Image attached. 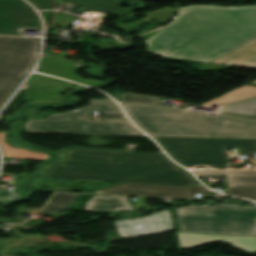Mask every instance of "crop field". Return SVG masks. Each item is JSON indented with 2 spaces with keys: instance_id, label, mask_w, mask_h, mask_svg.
I'll list each match as a JSON object with an SVG mask.
<instances>
[{
  "instance_id": "1",
  "label": "crop field",
  "mask_w": 256,
  "mask_h": 256,
  "mask_svg": "<svg viewBox=\"0 0 256 256\" xmlns=\"http://www.w3.org/2000/svg\"><path fill=\"white\" fill-rule=\"evenodd\" d=\"M256 37V5L188 6L145 43L148 52L210 62Z\"/></svg>"
},
{
  "instance_id": "2",
  "label": "crop field",
  "mask_w": 256,
  "mask_h": 256,
  "mask_svg": "<svg viewBox=\"0 0 256 256\" xmlns=\"http://www.w3.org/2000/svg\"><path fill=\"white\" fill-rule=\"evenodd\" d=\"M41 177L194 187L196 180L163 154L74 149Z\"/></svg>"
},
{
  "instance_id": "3",
  "label": "crop field",
  "mask_w": 256,
  "mask_h": 256,
  "mask_svg": "<svg viewBox=\"0 0 256 256\" xmlns=\"http://www.w3.org/2000/svg\"><path fill=\"white\" fill-rule=\"evenodd\" d=\"M145 132L159 137L256 138V122L224 115L168 109L147 104H122Z\"/></svg>"
},
{
  "instance_id": "4",
  "label": "crop field",
  "mask_w": 256,
  "mask_h": 256,
  "mask_svg": "<svg viewBox=\"0 0 256 256\" xmlns=\"http://www.w3.org/2000/svg\"><path fill=\"white\" fill-rule=\"evenodd\" d=\"M91 106L63 113L42 114L36 107L24 108L10 122L17 132L140 136L130 122L89 121L90 110L104 115L124 116L112 100H90ZM107 122V124H104Z\"/></svg>"
},
{
  "instance_id": "5",
  "label": "crop field",
  "mask_w": 256,
  "mask_h": 256,
  "mask_svg": "<svg viewBox=\"0 0 256 256\" xmlns=\"http://www.w3.org/2000/svg\"><path fill=\"white\" fill-rule=\"evenodd\" d=\"M177 213L182 232L256 236V204L186 206Z\"/></svg>"
},
{
  "instance_id": "6",
  "label": "crop field",
  "mask_w": 256,
  "mask_h": 256,
  "mask_svg": "<svg viewBox=\"0 0 256 256\" xmlns=\"http://www.w3.org/2000/svg\"><path fill=\"white\" fill-rule=\"evenodd\" d=\"M154 138L172 158L186 167L208 165L217 169H226L229 164V155L225 152L226 146L238 147L241 151L239 155H253L256 150V140Z\"/></svg>"
},
{
  "instance_id": "7",
  "label": "crop field",
  "mask_w": 256,
  "mask_h": 256,
  "mask_svg": "<svg viewBox=\"0 0 256 256\" xmlns=\"http://www.w3.org/2000/svg\"><path fill=\"white\" fill-rule=\"evenodd\" d=\"M39 39L0 37V108L32 69Z\"/></svg>"
},
{
  "instance_id": "8",
  "label": "crop field",
  "mask_w": 256,
  "mask_h": 256,
  "mask_svg": "<svg viewBox=\"0 0 256 256\" xmlns=\"http://www.w3.org/2000/svg\"><path fill=\"white\" fill-rule=\"evenodd\" d=\"M118 234L124 239L174 230L170 211L164 210L136 220L115 221Z\"/></svg>"
},
{
  "instance_id": "9",
  "label": "crop field",
  "mask_w": 256,
  "mask_h": 256,
  "mask_svg": "<svg viewBox=\"0 0 256 256\" xmlns=\"http://www.w3.org/2000/svg\"><path fill=\"white\" fill-rule=\"evenodd\" d=\"M21 26L41 30L37 15L22 0H0V34L12 35Z\"/></svg>"
},
{
  "instance_id": "10",
  "label": "crop field",
  "mask_w": 256,
  "mask_h": 256,
  "mask_svg": "<svg viewBox=\"0 0 256 256\" xmlns=\"http://www.w3.org/2000/svg\"><path fill=\"white\" fill-rule=\"evenodd\" d=\"M195 191L196 188L122 183L121 185L99 190L93 193L168 196L194 199Z\"/></svg>"
},
{
  "instance_id": "11",
  "label": "crop field",
  "mask_w": 256,
  "mask_h": 256,
  "mask_svg": "<svg viewBox=\"0 0 256 256\" xmlns=\"http://www.w3.org/2000/svg\"><path fill=\"white\" fill-rule=\"evenodd\" d=\"M27 84L34 88V101L29 104L49 105L65 104L59 92L73 86V83L40 75H33Z\"/></svg>"
},
{
  "instance_id": "12",
  "label": "crop field",
  "mask_w": 256,
  "mask_h": 256,
  "mask_svg": "<svg viewBox=\"0 0 256 256\" xmlns=\"http://www.w3.org/2000/svg\"><path fill=\"white\" fill-rule=\"evenodd\" d=\"M180 249L210 242H228L232 246L249 252L256 251V237L220 236L206 234L177 233Z\"/></svg>"
},
{
  "instance_id": "13",
  "label": "crop field",
  "mask_w": 256,
  "mask_h": 256,
  "mask_svg": "<svg viewBox=\"0 0 256 256\" xmlns=\"http://www.w3.org/2000/svg\"><path fill=\"white\" fill-rule=\"evenodd\" d=\"M74 63L75 62L49 56V58H42L40 67L37 69V71L49 75L59 76L61 78L91 87L101 86L107 83L105 81L83 79L77 76L76 70L78 67L74 66Z\"/></svg>"
},
{
  "instance_id": "14",
  "label": "crop field",
  "mask_w": 256,
  "mask_h": 256,
  "mask_svg": "<svg viewBox=\"0 0 256 256\" xmlns=\"http://www.w3.org/2000/svg\"><path fill=\"white\" fill-rule=\"evenodd\" d=\"M213 63L256 69V39L213 61Z\"/></svg>"
},
{
  "instance_id": "15",
  "label": "crop field",
  "mask_w": 256,
  "mask_h": 256,
  "mask_svg": "<svg viewBox=\"0 0 256 256\" xmlns=\"http://www.w3.org/2000/svg\"><path fill=\"white\" fill-rule=\"evenodd\" d=\"M86 211H134L125 197L93 195L84 205Z\"/></svg>"
},
{
  "instance_id": "16",
  "label": "crop field",
  "mask_w": 256,
  "mask_h": 256,
  "mask_svg": "<svg viewBox=\"0 0 256 256\" xmlns=\"http://www.w3.org/2000/svg\"><path fill=\"white\" fill-rule=\"evenodd\" d=\"M201 175L226 176L228 188H256V171H197Z\"/></svg>"
},
{
  "instance_id": "17",
  "label": "crop field",
  "mask_w": 256,
  "mask_h": 256,
  "mask_svg": "<svg viewBox=\"0 0 256 256\" xmlns=\"http://www.w3.org/2000/svg\"><path fill=\"white\" fill-rule=\"evenodd\" d=\"M72 1L80 6L89 9L97 10L109 14L116 15L120 12L131 10V7H120L118 2L120 0H67Z\"/></svg>"
},
{
  "instance_id": "18",
  "label": "crop field",
  "mask_w": 256,
  "mask_h": 256,
  "mask_svg": "<svg viewBox=\"0 0 256 256\" xmlns=\"http://www.w3.org/2000/svg\"><path fill=\"white\" fill-rule=\"evenodd\" d=\"M221 113L256 120V96L230 103L224 106Z\"/></svg>"
},
{
  "instance_id": "19",
  "label": "crop field",
  "mask_w": 256,
  "mask_h": 256,
  "mask_svg": "<svg viewBox=\"0 0 256 256\" xmlns=\"http://www.w3.org/2000/svg\"><path fill=\"white\" fill-rule=\"evenodd\" d=\"M79 194L56 193L39 212L57 214L61 210H67Z\"/></svg>"
},
{
  "instance_id": "20",
  "label": "crop field",
  "mask_w": 256,
  "mask_h": 256,
  "mask_svg": "<svg viewBox=\"0 0 256 256\" xmlns=\"http://www.w3.org/2000/svg\"><path fill=\"white\" fill-rule=\"evenodd\" d=\"M0 146L2 148L4 157L14 158H31L38 160H48L50 155L46 153H38L30 151L28 148L14 149L5 143V133L0 132Z\"/></svg>"
},
{
  "instance_id": "21",
  "label": "crop field",
  "mask_w": 256,
  "mask_h": 256,
  "mask_svg": "<svg viewBox=\"0 0 256 256\" xmlns=\"http://www.w3.org/2000/svg\"><path fill=\"white\" fill-rule=\"evenodd\" d=\"M252 94H256V87L251 86L249 84L238 88L234 91H231L229 93H226L222 96H219L217 98H214L200 106H209V105H215V104H224L228 101L234 100V99H238V98H242V97H246Z\"/></svg>"
},
{
  "instance_id": "22",
  "label": "crop field",
  "mask_w": 256,
  "mask_h": 256,
  "mask_svg": "<svg viewBox=\"0 0 256 256\" xmlns=\"http://www.w3.org/2000/svg\"><path fill=\"white\" fill-rule=\"evenodd\" d=\"M157 100L158 98L156 97L122 93L120 102H144V103L156 104Z\"/></svg>"
},
{
  "instance_id": "23",
  "label": "crop field",
  "mask_w": 256,
  "mask_h": 256,
  "mask_svg": "<svg viewBox=\"0 0 256 256\" xmlns=\"http://www.w3.org/2000/svg\"><path fill=\"white\" fill-rule=\"evenodd\" d=\"M227 194L246 197L256 200V189H226Z\"/></svg>"
},
{
  "instance_id": "24",
  "label": "crop field",
  "mask_w": 256,
  "mask_h": 256,
  "mask_svg": "<svg viewBox=\"0 0 256 256\" xmlns=\"http://www.w3.org/2000/svg\"><path fill=\"white\" fill-rule=\"evenodd\" d=\"M38 9H52L50 0H29Z\"/></svg>"
},
{
  "instance_id": "25",
  "label": "crop field",
  "mask_w": 256,
  "mask_h": 256,
  "mask_svg": "<svg viewBox=\"0 0 256 256\" xmlns=\"http://www.w3.org/2000/svg\"><path fill=\"white\" fill-rule=\"evenodd\" d=\"M0 192L5 193V194H9L7 198H1L0 197V202H10L12 200H16V199L20 198L19 194L15 193V192H12V191L0 189Z\"/></svg>"
},
{
  "instance_id": "26",
  "label": "crop field",
  "mask_w": 256,
  "mask_h": 256,
  "mask_svg": "<svg viewBox=\"0 0 256 256\" xmlns=\"http://www.w3.org/2000/svg\"><path fill=\"white\" fill-rule=\"evenodd\" d=\"M252 83L256 84V81H254V82H252Z\"/></svg>"
}]
</instances>
